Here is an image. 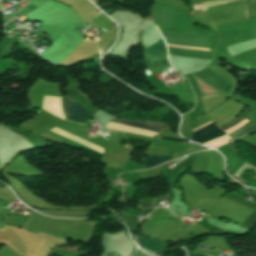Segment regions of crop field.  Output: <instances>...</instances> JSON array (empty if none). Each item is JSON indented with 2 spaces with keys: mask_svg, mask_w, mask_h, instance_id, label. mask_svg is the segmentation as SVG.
<instances>
[{
  "mask_svg": "<svg viewBox=\"0 0 256 256\" xmlns=\"http://www.w3.org/2000/svg\"><path fill=\"white\" fill-rule=\"evenodd\" d=\"M160 33L163 36V38H165L166 43L209 48L206 39L185 37V36L173 35V34H168V33H163V32H160ZM171 44H167V45L172 46V47H180V48H189V49H198V50L209 51V49H205V48L179 46V45H171ZM172 47H168L169 48V54H172V55H179V56H186V57H193V58L212 59V56H211L210 52L198 51V50H189V49H180V48H172Z\"/></svg>",
  "mask_w": 256,
  "mask_h": 256,
  "instance_id": "8a807250",
  "label": "crop field"
},
{
  "mask_svg": "<svg viewBox=\"0 0 256 256\" xmlns=\"http://www.w3.org/2000/svg\"><path fill=\"white\" fill-rule=\"evenodd\" d=\"M145 61L149 72L155 75L171 67L163 39L145 49Z\"/></svg>",
  "mask_w": 256,
  "mask_h": 256,
  "instance_id": "ac0d7876",
  "label": "crop field"
},
{
  "mask_svg": "<svg viewBox=\"0 0 256 256\" xmlns=\"http://www.w3.org/2000/svg\"><path fill=\"white\" fill-rule=\"evenodd\" d=\"M63 107L67 120L73 122L84 124L86 120L93 115L69 96L64 97Z\"/></svg>",
  "mask_w": 256,
  "mask_h": 256,
  "instance_id": "34b2d1b8",
  "label": "crop field"
},
{
  "mask_svg": "<svg viewBox=\"0 0 256 256\" xmlns=\"http://www.w3.org/2000/svg\"><path fill=\"white\" fill-rule=\"evenodd\" d=\"M250 111H251V110H250L249 108H247V109L243 112V114H242L238 119H236V120H234V121H232V122H230V123H228V124H226V125H224V126H222V127H220V128H221L222 130H226V129H228V128L234 126V125H236L237 123H239L240 121H242L243 118H244ZM247 122H249V121H247V120L244 119L242 122H240L239 124H237L236 126H234L233 128H231V129H229V130H227V131H225V132L228 134V133L232 132L233 130L237 129L238 127L244 125V124L247 123ZM255 131H256L255 125L249 122V123L245 124L244 126L240 127L239 129L233 131L232 133H230V134H228V135H229V137L232 139V141H234V140H236V139H238V138H240V137H242V136H244V135H247V134L252 133V132H255Z\"/></svg>",
  "mask_w": 256,
  "mask_h": 256,
  "instance_id": "412701ff",
  "label": "crop field"
},
{
  "mask_svg": "<svg viewBox=\"0 0 256 256\" xmlns=\"http://www.w3.org/2000/svg\"><path fill=\"white\" fill-rule=\"evenodd\" d=\"M193 75L222 92L229 91L230 84L225 82L220 77H218L216 74L212 73L211 71H209L207 69H204L201 72L193 74Z\"/></svg>",
  "mask_w": 256,
  "mask_h": 256,
  "instance_id": "f4fd0767",
  "label": "crop field"
},
{
  "mask_svg": "<svg viewBox=\"0 0 256 256\" xmlns=\"http://www.w3.org/2000/svg\"><path fill=\"white\" fill-rule=\"evenodd\" d=\"M210 123H211V122H210ZM208 124H209V123H208ZM206 125H207V124H206ZM204 126H205V125H204ZM202 127H203V126H202ZM200 128H201V127H200ZM198 129H199V128H198ZM196 130H197V129H196ZM217 130H219V128H217V127L212 123V124H210V125H208V126L202 128V129H200V130L194 132V133H193V141H197V140H199V139H201V138H203V137H205V136H207V135H209V134H211V133H213V132H215V131H217ZM194 131H195V130H194ZM222 134H224V133L220 130V131H218V132H216V133H214V134H212V135H210V136H208V137H206V138H204V139L198 141L197 143L204 144V143H206V142H208V141H210V140H212V139H214V138H216V137H218V136H220V135H222Z\"/></svg>",
  "mask_w": 256,
  "mask_h": 256,
  "instance_id": "dd49c442",
  "label": "crop field"
},
{
  "mask_svg": "<svg viewBox=\"0 0 256 256\" xmlns=\"http://www.w3.org/2000/svg\"><path fill=\"white\" fill-rule=\"evenodd\" d=\"M111 121L120 123V124H124V125H128V126H132V127H137V128L157 132V133L162 132V130L167 127L166 125L159 124V123L126 121V120L118 119L116 117L113 118Z\"/></svg>",
  "mask_w": 256,
  "mask_h": 256,
  "instance_id": "e52e79f7",
  "label": "crop field"
},
{
  "mask_svg": "<svg viewBox=\"0 0 256 256\" xmlns=\"http://www.w3.org/2000/svg\"><path fill=\"white\" fill-rule=\"evenodd\" d=\"M141 243H142V247L148 250H152L155 252H159L161 250L164 249V247L166 246V243L154 240V239H150L144 236H140L138 235Z\"/></svg>",
  "mask_w": 256,
  "mask_h": 256,
  "instance_id": "d8731c3e",
  "label": "crop field"
},
{
  "mask_svg": "<svg viewBox=\"0 0 256 256\" xmlns=\"http://www.w3.org/2000/svg\"><path fill=\"white\" fill-rule=\"evenodd\" d=\"M145 165V167L152 168L163 162L171 161L172 159L168 156L163 155H151V157H140Z\"/></svg>",
  "mask_w": 256,
  "mask_h": 256,
  "instance_id": "5a996713",
  "label": "crop field"
},
{
  "mask_svg": "<svg viewBox=\"0 0 256 256\" xmlns=\"http://www.w3.org/2000/svg\"><path fill=\"white\" fill-rule=\"evenodd\" d=\"M7 205V202L0 199V207ZM0 228H3V225L0 223Z\"/></svg>",
  "mask_w": 256,
  "mask_h": 256,
  "instance_id": "3316defc",
  "label": "crop field"
},
{
  "mask_svg": "<svg viewBox=\"0 0 256 256\" xmlns=\"http://www.w3.org/2000/svg\"><path fill=\"white\" fill-rule=\"evenodd\" d=\"M117 255V252H110V253H107L106 256H116ZM119 256V255H117Z\"/></svg>",
  "mask_w": 256,
  "mask_h": 256,
  "instance_id": "28ad6ade",
  "label": "crop field"
},
{
  "mask_svg": "<svg viewBox=\"0 0 256 256\" xmlns=\"http://www.w3.org/2000/svg\"><path fill=\"white\" fill-rule=\"evenodd\" d=\"M204 255H208V254H204ZM203 254H195V255H191V256H204ZM211 256V255H208Z\"/></svg>",
  "mask_w": 256,
  "mask_h": 256,
  "instance_id": "d1516ede",
  "label": "crop field"
}]
</instances>
